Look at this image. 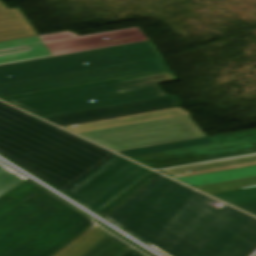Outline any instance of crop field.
<instances>
[{
  "instance_id": "crop-field-1",
  "label": "crop field",
  "mask_w": 256,
  "mask_h": 256,
  "mask_svg": "<svg viewBox=\"0 0 256 256\" xmlns=\"http://www.w3.org/2000/svg\"><path fill=\"white\" fill-rule=\"evenodd\" d=\"M213 201L160 175L104 218L166 256H251L256 219Z\"/></svg>"
},
{
  "instance_id": "crop-field-2",
  "label": "crop field",
  "mask_w": 256,
  "mask_h": 256,
  "mask_svg": "<svg viewBox=\"0 0 256 256\" xmlns=\"http://www.w3.org/2000/svg\"><path fill=\"white\" fill-rule=\"evenodd\" d=\"M94 221L27 179L0 196V256H49Z\"/></svg>"
},
{
  "instance_id": "crop-field-3",
  "label": "crop field",
  "mask_w": 256,
  "mask_h": 256,
  "mask_svg": "<svg viewBox=\"0 0 256 256\" xmlns=\"http://www.w3.org/2000/svg\"><path fill=\"white\" fill-rule=\"evenodd\" d=\"M0 154L62 192L116 155L32 116L0 134Z\"/></svg>"
},
{
  "instance_id": "crop-field-4",
  "label": "crop field",
  "mask_w": 256,
  "mask_h": 256,
  "mask_svg": "<svg viewBox=\"0 0 256 256\" xmlns=\"http://www.w3.org/2000/svg\"><path fill=\"white\" fill-rule=\"evenodd\" d=\"M172 71L73 86L3 100L42 118L166 97L158 83L174 81ZM94 99L95 102L87 101Z\"/></svg>"
},
{
  "instance_id": "crop-field-5",
  "label": "crop field",
  "mask_w": 256,
  "mask_h": 256,
  "mask_svg": "<svg viewBox=\"0 0 256 256\" xmlns=\"http://www.w3.org/2000/svg\"><path fill=\"white\" fill-rule=\"evenodd\" d=\"M162 57L152 41L0 66V85ZM87 62L89 65H84ZM7 75H11L8 78Z\"/></svg>"
},
{
  "instance_id": "crop-field-6",
  "label": "crop field",
  "mask_w": 256,
  "mask_h": 256,
  "mask_svg": "<svg viewBox=\"0 0 256 256\" xmlns=\"http://www.w3.org/2000/svg\"><path fill=\"white\" fill-rule=\"evenodd\" d=\"M141 30L136 27L82 37L65 31L2 42L0 65L148 41Z\"/></svg>"
},
{
  "instance_id": "crop-field-7",
  "label": "crop field",
  "mask_w": 256,
  "mask_h": 256,
  "mask_svg": "<svg viewBox=\"0 0 256 256\" xmlns=\"http://www.w3.org/2000/svg\"><path fill=\"white\" fill-rule=\"evenodd\" d=\"M115 151L203 137L190 115L80 133Z\"/></svg>"
},
{
  "instance_id": "crop-field-8",
  "label": "crop field",
  "mask_w": 256,
  "mask_h": 256,
  "mask_svg": "<svg viewBox=\"0 0 256 256\" xmlns=\"http://www.w3.org/2000/svg\"><path fill=\"white\" fill-rule=\"evenodd\" d=\"M149 171L116 155L64 193L96 212Z\"/></svg>"
},
{
  "instance_id": "crop-field-9",
  "label": "crop field",
  "mask_w": 256,
  "mask_h": 256,
  "mask_svg": "<svg viewBox=\"0 0 256 256\" xmlns=\"http://www.w3.org/2000/svg\"><path fill=\"white\" fill-rule=\"evenodd\" d=\"M167 68H169V66L166 64L163 58L142 61L137 63L0 86V97Z\"/></svg>"
},
{
  "instance_id": "crop-field-10",
  "label": "crop field",
  "mask_w": 256,
  "mask_h": 256,
  "mask_svg": "<svg viewBox=\"0 0 256 256\" xmlns=\"http://www.w3.org/2000/svg\"><path fill=\"white\" fill-rule=\"evenodd\" d=\"M180 105L181 102L175 96H171L166 98L154 99L149 101L137 102L132 104L97 109L92 111L80 112L46 119L54 123H57L61 126H66L152 111L177 108L180 107Z\"/></svg>"
},
{
  "instance_id": "crop-field-11",
  "label": "crop field",
  "mask_w": 256,
  "mask_h": 256,
  "mask_svg": "<svg viewBox=\"0 0 256 256\" xmlns=\"http://www.w3.org/2000/svg\"><path fill=\"white\" fill-rule=\"evenodd\" d=\"M187 114H189L187 111H185L181 108H177V109H171V110H165V111H159V112H153V113L111 119V120H105V121H98V122H92V123L66 126L65 128H67L75 133H79V132H85V131H91V130H97V129H103V128H109V127H115V126H121V125H127V124H133V123H139V122H145V121H151V120H157V119H163V118H169V117H175V116H181V115H187Z\"/></svg>"
},
{
  "instance_id": "crop-field-12",
  "label": "crop field",
  "mask_w": 256,
  "mask_h": 256,
  "mask_svg": "<svg viewBox=\"0 0 256 256\" xmlns=\"http://www.w3.org/2000/svg\"><path fill=\"white\" fill-rule=\"evenodd\" d=\"M209 139L213 142V144L156 153V154H150V155H144V156H138V157H132V159L136 161H140V160H146V159H152V158H158V157H164V156H170V155H176V154L222 148V147L238 145L243 143H252V142H256V130L243 132V133L211 137Z\"/></svg>"
},
{
  "instance_id": "crop-field-13",
  "label": "crop field",
  "mask_w": 256,
  "mask_h": 256,
  "mask_svg": "<svg viewBox=\"0 0 256 256\" xmlns=\"http://www.w3.org/2000/svg\"><path fill=\"white\" fill-rule=\"evenodd\" d=\"M37 35L23 12L0 15V41Z\"/></svg>"
},
{
  "instance_id": "crop-field-14",
  "label": "crop field",
  "mask_w": 256,
  "mask_h": 256,
  "mask_svg": "<svg viewBox=\"0 0 256 256\" xmlns=\"http://www.w3.org/2000/svg\"><path fill=\"white\" fill-rule=\"evenodd\" d=\"M251 150H256V143L243 144V145L227 147L222 149L176 155V156H170V157H164V158H158V159H152V160H146V161H140V162L150 167H154V166H160V165L198 160L196 158H200V157H206V156L211 157L213 155L217 156L218 154L226 155V154H231L232 152L237 153V152H245V151H251ZM206 158H209V157H206ZM200 159H204V158H200Z\"/></svg>"
},
{
  "instance_id": "crop-field-15",
  "label": "crop field",
  "mask_w": 256,
  "mask_h": 256,
  "mask_svg": "<svg viewBox=\"0 0 256 256\" xmlns=\"http://www.w3.org/2000/svg\"><path fill=\"white\" fill-rule=\"evenodd\" d=\"M108 235L94 225L53 256H82Z\"/></svg>"
},
{
  "instance_id": "crop-field-16",
  "label": "crop field",
  "mask_w": 256,
  "mask_h": 256,
  "mask_svg": "<svg viewBox=\"0 0 256 256\" xmlns=\"http://www.w3.org/2000/svg\"><path fill=\"white\" fill-rule=\"evenodd\" d=\"M256 176V166L179 178L193 186Z\"/></svg>"
},
{
  "instance_id": "crop-field-17",
  "label": "crop field",
  "mask_w": 256,
  "mask_h": 256,
  "mask_svg": "<svg viewBox=\"0 0 256 256\" xmlns=\"http://www.w3.org/2000/svg\"><path fill=\"white\" fill-rule=\"evenodd\" d=\"M131 247L109 235L84 256H124Z\"/></svg>"
},
{
  "instance_id": "crop-field-18",
  "label": "crop field",
  "mask_w": 256,
  "mask_h": 256,
  "mask_svg": "<svg viewBox=\"0 0 256 256\" xmlns=\"http://www.w3.org/2000/svg\"><path fill=\"white\" fill-rule=\"evenodd\" d=\"M210 143L212 142L208 138H204V139H198V140H192V141H186V142H180V143H174V144H167V145L131 150V151L120 152V153L127 157H132V156H138V155H144V154H150V153H156V152H162V151H168V150H174V149H180V148H186V147H192V146H198V145H204V144H210Z\"/></svg>"
},
{
  "instance_id": "crop-field-19",
  "label": "crop field",
  "mask_w": 256,
  "mask_h": 256,
  "mask_svg": "<svg viewBox=\"0 0 256 256\" xmlns=\"http://www.w3.org/2000/svg\"><path fill=\"white\" fill-rule=\"evenodd\" d=\"M29 115L0 102V133Z\"/></svg>"
},
{
  "instance_id": "crop-field-20",
  "label": "crop field",
  "mask_w": 256,
  "mask_h": 256,
  "mask_svg": "<svg viewBox=\"0 0 256 256\" xmlns=\"http://www.w3.org/2000/svg\"><path fill=\"white\" fill-rule=\"evenodd\" d=\"M25 179L24 176L0 162V195Z\"/></svg>"
},
{
  "instance_id": "crop-field-21",
  "label": "crop field",
  "mask_w": 256,
  "mask_h": 256,
  "mask_svg": "<svg viewBox=\"0 0 256 256\" xmlns=\"http://www.w3.org/2000/svg\"><path fill=\"white\" fill-rule=\"evenodd\" d=\"M214 196L219 197L232 204L254 201L256 200V188L214 194Z\"/></svg>"
},
{
  "instance_id": "crop-field-22",
  "label": "crop field",
  "mask_w": 256,
  "mask_h": 256,
  "mask_svg": "<svg viewBox=\"0 0 256 256\" xmlns=\"http://www.w3.org/2000/svg\"><path fill=\"white\" fill-rule=\"evenodd\" d=\"M155 175L157 174L151 171L138 182H136L134 185H132L130 188H128L126 191H124L122 194H120L118 197H116L114 200H112L110 203H108L106 206H104L102 209H100L97 213L103 216L106 212H108L110 209H112L114 206H116L118 203H120L134 191L143 186Z\"/></svg>"
},
{
  "instance_id": "crop-field-23",
  "label": "crop field",
  "mask_w": 256,
  "mask_h": 256,
  "mask_svg": "<svg viewBox=\"0 0 256 256\" xmlns=\"http://www.w3.org/2000/svg\"><path fill=\"white\" fill-rule=\"evenodd\" d=\"M254 160H256V156L247 157V158H241V159H235V160H230V161H224V162H218V163H213V164H207V165H202V166L184 168V169H177V170H171V171H164V173H166V174H168V175H172V174H178V173L196 171V170H201V169H207V168H213V167L231 165V164L242 163V162H248V161H254Z\"/></svg>"
},
{
  "instance_id": "crop-field-24",
  "label": "crop field",
  "mask_w": 256,
  "mask_h": 256,
  "mask_svg": "<svg viewBox=\"0 0 256 256\" xmlns=\"http://www.w3.org/2000/svg\"><path fill=\"white\" fill-rule=\"evenodd\" d=\"M253 186H256V180L255 181H249V182L232 184V185H226V186L202 189V191H204V192H206L208 194H212V193L230 191V190L247 188V187H253Z\"/></svg>"
},
{
  "instance_id": "crop-field-25",
  "label": "crop field",
  "mask_w": 256,
  "mask_h": 256,
  "mask_svg": "<svg viewBox=\"0 0 256 256\" xmlns=\"http://www.w3.org/2000/svg\"><path fill=\"white\" fill-rule=\"evenodd\" d=\"M250 165H256V161L248 162V163H242V164H236V165H231V166H225V167H219V168H213V169H207V170H201V171H196V172L172 175V176L175 177V178H179V177H185V176H191V175H197V174H203V173L227 170V169L244 167V166H250Z\"/></svg>"
},
{
  "instance_id": "crop-field-26",
  "label": "crop field",
  "mask_w": 256,
  "mask_h": 256,
  "mask_svg": "<svg viewBox=\"0 0 256 256\" xmlns=\"http://www.w3.org/2000/svg\"><path fill=\"white\" fill-rule=\"evenodd\" d=\"M253 155H256V153L242 155V156H236V157H230V158H225V159H219V160H214V161H208V162H202V163H196V164H190V165H184V166L160 169L159 171L171 170V169H177V168H184V167H190V166H196V165H201V164L213 163V162L224 161V160L235 159V158H241V157H247V156H253Z\"/></svg>"
},
{
  "instance_id": "crop-field-27",
  "label": "crop field",
  "mask_w": 256,
  "mask_h": 256,
  "mask_svg": "<svg viewBox=\"0 0 256 256\" xmlns=\"http://www.w3.org/2000/svg\"><path fill=\"white\" fill-rule=\"evenodd\" d=\"M255 179H256V177H251V178H245V179H239V180H233V181H227V182H221V183H215V184L197 186V188L202 189V188H208V187L226 185V184L237 183V182H243V181H249V180H255Z\"/></svg>"
},
{
  "instance_id": "crop-field-28",
  "label": "crop field",
  "mask_w": 256,
  "mask_h": 256,
  "mask_svg": "<svg viewBox=\"0 0 256 256\" xmlns=\"http://www.w3.org/2000/svg\"><path fill=\"white\" fill-rule=\"evenodd\" d=\"M237 206L250 211L254 214H256V201L254 202H248V203H242V204H236Z\"/></svg>"
},
{
  "instance_id": "crop-field-29",
  "label": "crop field",
  "mask_w": 256,
  "mask_h": 256,
  "mask_svg": "<svg viewBox=\"0 0 256 256\" xmlns=\"http://www.w3.org/2000/svg\"><path fill=\"white\" fill-rule=\"evenodd\" d=\"M253 152H256V151L245 152V153H239V154H233V155H227V156H221V157L210 158V159H205V160H199V161H194V162H188V163H183V164H189V163H195V162H201V161H207V160L225 158V157L236 156V155H242V154L253 153ZM183 164H177V165H183ZM177 165H172V166H177ZM166 167H171V166H166ZM161 168H165V167H161ZM155 169H159V168H155Z\"/></svg>"
},
{
  "instance_id": "crop-field-30",
  "label": "crop field",
  "mask_w": 256,
  "mask_h": 256,
  "mask_svg": "<svg viewBox=\"0 0 256 256\" xmlns=\"http://www.w3.org/2000/svg\"><path fill=\"white\" fill-rule=\"evenodd\" d=\"M21 11L20 8L9 10L7 5L0 1V14Z\"/></svg>"
},
{
  "instance_id": "crop-field-31",
  "label": "crop field",
  "mask_w": 256,
  "mask_h": 256,
  "mask_svg": "<svg viewBox=\"0 0 256 256\" xmlns=\"http://www.w3.org/2000/svg\"><path fill=\"white\" fill-rule=\"evenodd\" d=\"M125 256H144V255H142L141 253H139L138 251H136V250H132V251H130L128 254H126Z\"/></svg>"
},
{
  "instance_id": "crop-field-32",
  "label": "crop field",
  "mask_w": 256,
  "mask_h": 256,
  "mask_svg": "<svg viewBox=\"0 0 256 256\" xmlns=\"http://www.w3.org/2000/svg\"><path fill=\"white\" fill-rule=\"evenodd\" d=\"M256 256V255H255Z\"/></svg>"
}]
</instances>
